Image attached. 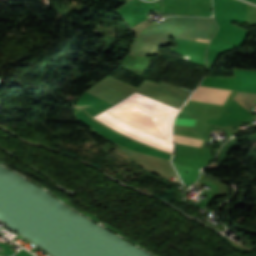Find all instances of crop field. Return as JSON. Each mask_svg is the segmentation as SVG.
<instances>
[{
    "label": "crop field",
    "instance_id": "obj_1",
    "mask_svg": "<svg viewBox=\"0 0 256 256\" xmlns=\"http://www.w3.org/2000/svg\"><path fill=\"white\" fill-rule=\"evenodd\" d=\"M148 119L172 128V121L178 109L165 105L163 103L152 100L137 92L133 93L120 103H118ZM115 130L134 138L143 143L157 147L159 149L173 152V144L152 136L148 133L133 128L124 122L114 118L113 116L103 112L94 117Z\"/></svg>",
    "mask_w": 256,
    "mask_h": 256
},
{
    "label": "crop field",
    "instance_id": "obj_2",
    "mask_svg": "<svg viewBox=\"0 0 256 256\" xmlns=\"http://www.w3.org/2000/svg\"><path fill=\"white\" fill-rule=\"evenodd\" d=\"M174 142L200 147L203 140L173 134Z\"/></svg>",
    "mask_w": 256,
    "mask_h": 256
},
{
    "label": "crop field",
    "instance_id": "obj_3",
    "mask_svg": "<svg viewBox=\"0 0 256 256\" xmlns=\"http://www.w3.org/2000/svg\"><path fill=\"white\" fill-rule=\"evenodd\" d=\"M195 119L176 118L173 125H194Z\"/></svg>",
    "mask_w": 256,
    "mask_h": 256
},
{
    "label": "crop field",
    "instance_id": "obj_4",
    "mask_svg": "<svg viewBox=\"0 0 256 256\" xmlns=\"http://www.w3.org/2000/svg\"><path fill=\"white\" fill-rule=\"evenodd\" d=\"M199 41V40H198Z\"/></svg>",
    "mask_w": 256,
    "mask_h": 256
}]
</instances>
